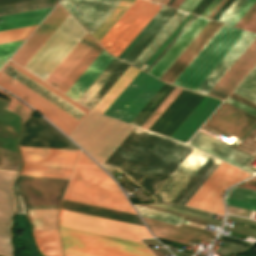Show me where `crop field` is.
I'll list each match as a JSON object with an SVG mask.
<instances>
[{
	"label": "crop field",
	"mask_w": 256,
	"mask_h": 256,
	"mask_svg": "<svg viewBox=\"0 0 256 256\" xmlns=\"http://www.w3.org/2000/svg\"><path fill=\"white\" fill-rule=\"evenodd\" d=\"M191 149L134 127L101 166L118 169L152 196Z\"/></svg>",
	"instance_id": "8a807250"
},
{
	"label": "crop field",
	"mask_w": 256,
	"mask_h": 256,
	"mask_svg": "<svg viewBox=\"0 0 256 256\" xmlns=\"http://www.w3.org/2000/svg\"><path fill=\"white\" fill-rule=\"evenodd\" d=\"M63 198L136 214L118 185L82 151Z\"/></svg>",
	"instance_id": "ac0d7876"
},
{
	"label": "crop field",
	"mask_w": 256,
	"mask_h": 256,
	"mask_svg": "<svg viewBox=\"0 0 256 256\" xmlns=\"http://www.w3.org/2000/svg\"><path fill=\"white\" fill-rule=\"evenodd\" d=\"M132 128L90 111L69 136L101 165Z\"/></svg>",
	"instance_id": "34b2d1b8"
},
{
	"label": "crop field",
	"mask_w": 256,
	"mask_h": 256,
	"mask_svg": "<svg viewBox=\"0 0 256 256\" xmlns=\"http://www.w3.org/2000/svg\"><path fill=\"white\" fill-rule=\"evenodd\" d=\"M6 105L7 102L0 100V147L17 152L16 145L21 134L20 118L4 109ZM2 170H0V252L12 256L9 224L13 198L10 184L17 173Z\"/></svg>",
	"instance_id": "412701ff"
},
{
	"label": "crop field",
	"mask_w": 256,
	"mask_h": 256,
	"mask_svg": "<svg viewBox=\"0 0 256 256\" xmlns=\"http://www.w3.org/2000/svg\"><path fill=\"white\" fill-rule=\"evenodd\" d=\"M59 229L140 246L145 245L139 239L152 237L142 226L62 209L59 214Z\"/></svg>",
	"instance_id": "f4fd0767"
},
{
	"label": "crop field",
	"mask_w": 256,
	"mask_h": 256,
	"mask_svg": "<svg viewBox=\"0 0 256 256\" xmlns=\"http://www.w3.org/2000/svg\"><path fill=\"white\" fill-rule=\"evenodd\" d=\"M244 32L224 24L173 84L195 90Z\"/></svg>",
	"instance_id": "dd49c442"
},
{
	"label": "crop field",
	"mask_w": 256,
	"mask_h": 256,
	"mask_svg": "<svg viewBox=\"0 0 256 256\" xmlns=\"http://www.w3.org/2000/svg\"><path fill=\"white\" fill-rule=\"evenodd\" d=\"M85 32L69 15L23 68L45 80Z\"/></svg>",
	"instance_id": "e52e79f7"
},
{
	"label": "crop field",
	"mask_w": 256,
	"mask_h": 256,
	"mask_svg": "<svg viewBox=\"0 0 256 256\" xmlns=\"http://www.w3.org/2000/svg\"><path fill=\"white\" fill-rule=\"evenodd\" d=\"M10 66L14 67L15 69H17L18 71H20L21 73L25 74L26 76H28L29 78H31L32 80L36 81L37 83H39L40 85H42L43 87L47 88L48 90H50L51 92H53L54 94H56L57 96L61 97L62 99H64L65 101H67L68 103L72 104L73 106H75L76 108H78L79 110L83 111L84 113H88L90 110L86 109L85 107H83L82 105L78 104L77 102H75L74 100L70 99L69 97H67L66 95L62 94L61 92L57 91L56 89H54L53 87L49 86L48 84H46L45 82L41 81L40 79L36 78L35 76H33L32 74L28 73L27 71H25L24 69L20 68L19 66H17L16 64L12 63L11 61H8V63ZM0 82L2 84H4L5 86H7L8 88L12 89L13 91H15L16 93H18L19 95L23 96L24 98H26L27 100H29L30 102L34 103L35 105H37L38 107H40L41 109H43L44 111L48 112L49 114H51L52 116H54L55 118L59 119L60 121H62L63 123H65L66 125L70 126L71 128H75L77 126V124L80 122L78 120H76L75 118H73L72 116H70L69 114L65 113L64 111H62L61 109L57 108L56 106H54L53 104H51L50 102L46 101L45 99H43L42 97L38 96L37 94H35L34 92L30 91L29 89H27L26 87H24L23 85L19 84L18 82H16L15 80L11 79L10 77H8L7 75L3 74L2 72H0ZM0 83V86L3 87L4 89L8 90L9 92H11L12 94L18 96L19 98H21L22 100H24L25 102H27L29 105H31L35 110H37L40 114H42L44 117H46L49 121H51L53 124H55L57 127H59L61 130H63L65 133H67L68 135L70 134V132L73 130L70 127L66 126L65 124H63L62 122H60L59 120L55 119L54 117H52L51 115H49L48 113L44 112L43 110H41L40 108H38L37 106L33 105L32 103H30L29 101H27L26 99H24L23 97L19 96L18 94H16L15 92H13L12 90L8 89L7 87H5L4 85H2ZM66 134V135H67ZM67 135V136H68Z\"/></svg>",
	"instance_id": "d8731c3e"
},
{
	"label": "crop field",
	"mask_w": 256,
	"mask_h": 256,
	"mask_svg": "<svg viewBox=\"0 0 256 256\" xmlns=\"http://www.w3.org/2000/svg\"><path fill=\"white\" fill-rule=\"evenodd\" d=\"M161 6L145 0H135L99 43L118 57Z\"/></svg>",
	"instance_id": "5a996713"
},
{
	"label": "crop field",
	"mask_w": 256,
	"mask_h": 256,
	"mask_svg": "<svg viewBox=\"0 0 256 256\" xmlns=\"http://www.w3.org/2000/svg\"><path fill=\"white\" fill-rule=\"evenodd\" d=\"M21 174L69 179L79 151L19 147Z\"/></svg>",
	"instance_id": "3316defc"
},
{
	"label": "crop field",
	"mask_w": 256,
	"mask_h": 256,
	"mask_svg": "<svg viewBox=\"0 0 256 256\" xmlns=\"http://www.w3.org/2000/svg\"><path fill=\"white\" fill-rule=\"evenodd\" d=\"M249 176L222 162L185 205L223 215L221 197L225 188Z\"/></svg>",
	"instance_id": "28ad6ade"
},
{
	"label": "crop field",
	"mask_w": 256,
	"mask_h": 256,
	"mask_svg": "<svg viewBox=\"0 0 256 256\" xmlns=\"http://www.w3.org/2000/svg\"><path fill=\"white\" fill-rule=\"evenodd\" d=\"M162 84L140 71L104 115L130 123Z\"/></svg>",
	"instance_id": "d1516ede"
},
{
	"label": "crop field",
	"mask_w": 256,
	"mask_h": 256,
	"mask_svg": "<svg viewBox=\"0 0 256 256\" xmlns=\"http://www.w3.org/2000/svg\"><path fill=\"white\" fill-rule=\"evenodd\" d=\"M208 157L209 155L193 148L152 196L153 203L170 202Z\"/></svg>",
	"instance_id": "22f410ed"
},
{
	"label": "crop field",
	"mask_w": 256,
	"mask_h": 256,
	"mask_svg": "<svg viewBox=\"0 0 256 256\" xmlns=\"http://www.w3.org/2000/svg\"><path fill=\"white\" fill-rule=\"evenodd\" d=\"M19 146L80 150L45 120L34 116L24 123Z\"/></svg>",
	"instance_id": "cbeb9de0"
},
{
	"label": "crop field",
	"mask_w": 256,
	"mask_h": 256,
	"mask_svg": "<svg viewBox=\"0 0 256 256\" xmlns=\"http://www.w3.org/2000/svg\"><path fill=\"white\" fill-rule=\"evenodd\" d=\"M204 95L183 89L149 130L169 137Z\"/></svg>",
	"instance_id": "5142ce71"
},
{
	"label": "crop field",
	"mask_w": 256,
	"mask_h": 256,
	"mask_svg": "<svg viewBox=\"0 0 256 256\" xmlns=\"http://www.w3.org/2000/svg\"><path fill=\"white\" fill-rule=\"evenodd\" d=\"M120 1L62 0L61 4L92 34Z\"/></svg>",
	"instance_id": "d9b57169"
},
{
	"label": "crop field",
	"mask_w": 256,
	"mask_h": 256,
	"mask_svg": "<svg viewBox=\"0 0 256 256\" xmlns=\"http://www.w3.org/2000/svg\"><path fill=\"white\" fill-rule=\"evenodd\" d=\"M255 123L256 117L224 103L206 127L241 139Z\"/></svg>",
	"instance_id": "733c2abd"
},
{
	"label": "crop field",
	"mask_w": 256,
	"mask_h": 256,
	"mask_svg": "<svg viewBox=\"0 0 256 256\" xmlns=\"http://www.w3.org/2000/svg\"><path fill=\"white\" fill-rule=\"evenodd\" d=\"M68 15L69 14L60 5H58L39 26V28L31 35V37L23 44V46L15 53L11 60L23 67Z\"/></svg>",
	"instance_id": "4a817a6b"
},
{
	"label": "crop field",
	"mask_w": 256,
	"mask_h": 256,
	"mask_svg": "<svg viewBox=\"0 0 256 256\" xmlns=\"http://www.w3.org/2000/svg\"><path fill=\"white\" fill-rule=\"evenodd\" d=\"M255 63L256 39L210 90L208 95L224 99Z\"/></svg>",
	"instance_id": "bc2a9ffb"
},
{
	"label": "crop field",
	"mask_w": 256,
	"mask_h": 256,
	"mask_svg": "<svg viewBox=\"0 0 256 256\" xmlns=\"http://www.w3.org/2000/svg\"><path fill=\"white\" fill-rule=\"evenodd\" d=\"M153 234L181 243H187L192 239L211 240L214 232L180 223L179 226L142 217Z\"/></svg>",
	"instance_id": "214f88e0"
},
{
	"label": "crop field",
	"mask_w": 256,
	"mask_h": 256,
	"mask_svg": "<svg viewBox=\"0 0 256 256\" xmlns=\"http://www.w3.org/2000/svg\"><path fill=\"white\" fill-rule=\"evenodd\" d=\"M221 25V23L210 20L208 24L201 30V32L195 37V39L182 52V54L169 67V69L162 75L160 80L172 83Z\"/></svg>",
	"instance_id": "92a150f3"
},
{
	"label": "crop field",
	"mask_w": 256,
	"mask_h": 256,
	"mask_svg": "<svg viewBox=\"0 0 256 256\" xmlns=\"http://www.w3.org/2000/svg\"><path fill=\"white\" fill-rule=\"evenodd\" d=\"M208 21L197 16L148 74L159 79Z\"/></svg>",
	"instance_id": "dafd665d"
},
{
	"label": "crop field",
	"mask_w": 256,
	"mask_h": 256,
	"mask_svg": "<svg viewBox=\"0 0 256 256\" xmlns=\"http://www.w3.org/2000/svg\"><path fill=\"white\" fill-rule=\"evenodd\" d=\"M222 101L205 96L170 138L187 142Z\"/></svg>",
	"instance_id": "00972430"
},
{
	"label": "crop field",
	"mask_w": 256,
	"mask_h": 256,
	"mask_svg": "<svg viewBox=\"0 0 256 256\" xmlns=\"http://www.w3.org/2000/svg\"><path fill=\"white\" fill-rule=\"evenodd\" d=\"M190 142H192V143H194V144H196L198 146H202V147H204V148H206V149H208V150H210L212 152H215V153H217V154H219V155H221V156H223V157H225L227 159H230V160H232V161H234V162H236V163H238L240 165H243V166H245V167H247V168H249V169H251V170L256 172V169L245 165L252 158V156H250V155H248L246 153H243V152H241V151H239L237 149H234V148H232V147H230L228 145H225V144H223V143H221V142H219L217 140H214V139H212V138H210L208 136H205V135H203V134H201L199 132H197L194 135V137L190 140ZM190 142H188V143H190ZM192 143H190V144H192ZM194 144H192V145H194ZM196 145H194V146H196ZM198 146H196V147H198ZM202 147H198V148H200L202 150H205V151H207V152H209V153H211V154H213V155H215V156H217L219 158H222V159H224V160H226V161H228V162H230V163H232L234 165H237V166H239V167H241V168H243V169H245V170H247V171H249L251 173H255V172H253V171H251V170H249V169H247L245 167H242V166H240V165H238V164H236V163H234V162H232L230 160H227V159H225V158H223V157H221V156H219L217 154H214V153H212V152H210V151H208V150H206V149H204Z\"/></svg>",
	"instance_id": "a9b5d70f"
},
{
	"label": "crop field",
	"mask_w": 256,
	"mask_h": 256,
	"mask_svg": "<svg viewBox=\"0 0 256 256\" xmlns=\"http://www.w3.org/2000/svg\"><path fill=\"white\" fill-rule=\"evenodd\" d=\"M256 34L246 32L236 45L228 52L214 70L199 85L196 91L207 94L248 45L255 39Z\"/></svg>",
	"instance_id": "4177f3b9"
},
{
	"label": "crop field",
	"mask_w": 256,
	"mask_h": 256,
	"mask_svg": "<svg viewBox=\"0 0 256 256\" xmlns=\"http://www.w3.org/2000/svg\"><path fill=\"white\" fill-rule=\"evenodd\" d=\"M95 42L86 32L45 81L56 88Z\"/></svg>",
	"instance_id": "730fd06b"
},
{
	"label": "crop field",
	"mask_w": 256,
	"mask_h": 256,
	"mask_svg": "<svg viewBox=\"0 0 256 256\" xmlns=\"http://www.w3.org/2000/svg\"><path fill=\"white\" fill-rule=\"evenodd\" d=\"M113 58L103 49L65 94L77 101Z\"/></svg>",
	"instance_id": "eef30255"
},
{
	"label": "crop field",
	"mask_w": 256,
	"mask_h": 256,
	"mask_svg": "<svg viewBox=\"0 0 256 256\" xmlns=\"http://www.w3.org/2000/svg\"><path fill=\"white\" fill-rule=\"evenodd\" d=\"M59 232H60L61 238L63 239L77 241L81 243H86L90 245L109 248V249L127 252L131 254L141 255V256H153L152 253L148 250V248H145V247L105 240L101 238H96V237H91V236H86V235L61 231V230H59Z\"/></svg>",
	"instance_id": "ae1a2a85"
},
{
	"label": "crop field",
	"mask_w": 256,
	"mask_h": 256,
	"mask_svg": "<svg viewBox=\"0 0 256 256\" xmlns=\"http://www.w3.org/2000/svg\"><path fill=\"white\" fill-rule=\"evenodd\" d=\"M176 11L177 9L167 7L122 60L131 64L133 60L140 54V52L147 46V44L154 38V36L161 30V28L168 22V20L175 14Z\"/></svg>",
	"instance_id": "d3111659"
},
{
	"label": "crop field",
	"mask_w": 256,
	"mask_h": 256,
	"mask_svg": "<svg viewBox=\"0 0 256 256\" xmlns=\"http://www.w3.org/2000/svg\"><path fill=\"white\" fill-rule=\"evenodd\" d=\"M52 8L0 17V31L39 24Z\"/></svg>",
	"instance_id": "750c4746"
},
{
	"label": "crop field",
	"mask_w": 256,
	"mask_h": 256,
	"mask_svg": "<svg viewBox=\"0 0 256 256\" xmlns=\"http://www.w3.org/2000/svg\"><path fill=\"white\" fill-rule=\"evenodd\" d=\"M186 14L187 12L178 10L162 30L155 36V38L148 44V46L141 52V54L134 60L132 65L140 68Z\"/></svg>",
	"instance_id": "bd1437ed"
},
{
	"label": "crop field",
	"mask_w": 256,
	"mask_h": 256,
	"mask_svg": "<svg viewBox=\"0 0 256 256\" xmlns=\"http://www.w3.org/2000/svg\"><path fill=\"white\" fill-rule=\"evenodd\" d=\"M62 240L64 256H136L86 244Z\"/></svg>",
	"instance_id": "1d83c4d3"
},
{
	"label": "crop field",
	"mask_w": 256,
	"mask_h": 256,
	"mask_svg": "<svg viewBox=\"0 0 256 256\" xmlns=\"http://www.w3.org/2000/svg\"><path fill=\"white\" fill-rule=\"evenodd\" d=\"M138 72L139 70L130 66L119 78V80L111 87V89L103 96V98L95 105L92 111L103 114Z\"/></svg>",
	"instance_id": "120bbe31"
},
{
	"label": "crop field",
	"mask_w": 256,
	"mask_h": 256,
	"mask_svg": "<svg viewBox=\"0 0 256 256\" xmlns=\"http://www.w3.org/2000/svg\"><path fill=\"white\" fill-rule=\"evenodd\" d=\"M32 233L42 256H62V247L57 230Z\"/></svg>",
	"instance_id": "d32e631a"
},
{
	"label": "crop field",
	"mask_w": 256,
	"mask_h": 256,
	"mask_svg": "<svg viewBox=\"0 0 256 256\" xmlns=\"http://www.w3.org/2000/svg\"><path fill=\"white\" fill-rule=\"evenodd\" d=\"M32 231L57 229L58 209L27 210Z\"/></svg>",
	"instance_id": "5866460e"
},
{
	"label": "crop field",
	"mask_w": 256,
	"mask_h": 256,
	"mask_svg": "<svg viewBox=\"0 0 256 256\" xmlns=\"http://www.w3.org/2000/svg\"><path fill=\"white\" fill-rule=\"evenodd\" d=\"M102 49L103 48L96 42L56 89L65 93Z\"/></svg>",
	"instance_id": "028f5c9d"
},
{
	"label": "crop field",
	"mask_w": 256,
	"mask_h": 256,
	"mask_svg": "<svg viewBox=\"0 0 256 256\" xmlns=\"http://www.w3.org/2000/svg\"><path fill=\"white\" fill-rule=\"evenodd\" d=\"M174 88L175 86L164 83L145 107L139 112V114L133 119L131 124L141 127Z\"/></svg>",
	"instance_id": "e1f06a70"
},
{
	"label": "crop field",
	"mask_w": 256,
	"mask_h": 256,
	"mask_svg": "<svg viewBox=\"0 0 256 256\" xmlns=\"http://www.w3.org/2000/svg\"><path fill=\"white\" fill-rule=\"evenodd\" d=\"M122 64L123 62L114 58L77 102L86 106Z\"/></svg>",
	"instance_id": "0bd39190"
},
{
	"label": "crop field",
	"mask_w": 256,
	"mask_h": 256,
	"mask_svg": "<svg viewBox=\"0 0 256 256\" xmlns=\"http://www.w3.org/2000/svg\"><path fill=\"white\" fill-rule=\"evenodd\" d=\"M134 2V0H122L117 7L110 13V15L103 21V23L92 34L99 42L101 38L108 32L114 23L121 17L127 8Z\"/></svg>",
	"instance_id": "b80d0937"
},
{
	"label": "crop field",
	"mask_w": 256,
	"mask_h": 256,
	"mask_svg": "<svg viewBox=\"0 0 256 256\" xmlns=\"http://www.w3.org/2000/svg\"><path fill=\"white\" fill-rule=\"evenodd\" d=\"M234 92L256 102V66L237 86Z\"/></svg>",
	"instance_id": "c035e120"
},
{
	"label": "crop field",
	"mask_w": 256,
	"mask_h": 256,
	"mask_svg": "<svg viewBox=\"0 0 256 256\" xmlns=\"http://www.w3.org/2000/svg\"><path fill=\"white\" fill-rule=\"evenodd\" d=\"M134 206L137 209V211L140 213V215H142V216L158 219L161 221H165V222H169V223H173V224H177V225H179V223L183 219V217L160 212V211L149 209L146 207H142V206H138V205H134Z\"/></svg>",
	"instance_id": "c21b1889"
},
{
	"label": "crop field",
	"mask_w": 256,
	"mask_h": 256,
	"mask_svg": "<svg viewBox=\"0 0 256 256\" xmlns=\"http://www.w3.org/2000/svg\"><path fill=\"white\" fill-rule=\"evenodd\" d=\"M36 26L2 31L0 32V43L26 39Z\"/></svg>",
	"instance_id": "03da06ac"
},
{
	"label": "crop field",
	"mask_w": 256,
	"mask_h": 256,
	"mask_svg": "<svg viewBox=\"0 0 256 256\" xmlns=\"http://www.w3.org/2000/svg\"><path fill=\"white\" fill-rule=\"evenodd\" d=\"M215 160L216 158L210 156L208 160L203 164V166L197 171V173L190 179V181L182 188V190L174 197L171 202L178 203Z\"/></svg>",
	"instance_id": "b54c1fbb"
},
{
	"label": "crop field",
	"mask_w": 256,
	"mask_h": 256,
	"mask_svg": "<svg viewBox=\"0 0 256 256\" xmlns=\"http://www.w3.org/2000/svg\"><path fill=\"white\" fill-rule=\"evenodd\" d=\"M225 197L256 204V191L237 186L227 191Z\"/></svg>",
	"instance_id": "5d738f31"
},
{
	"label": "crop field",
	"mask_w": 256,
	"mask_h": 256,
	"mask_svg": "<svg viewBox=\"0 0 256 256\" xmlns=\"http://www.w3.org/2000/svg\"><path fill=\"white\" fill-rule=\"evenodd\" d=\"M129 67L127 64H123L121 68L113 75V77L106 83V85L98 92V94L90 101L86 106L90 110L94 105L102 98V96L110 89V87L118 80V78L125 72Z\"/></svg>",
	"instance_id": "d23c7cc5"
},
{
	"label": "crop field",
	"mask_w": 256,
	"mask_h": 256,
	"mask_svg": "<svg viewBox=\"0 0 256 256\" xmlns=\"http://www.w3.org/2000/svg\"><path fill=\"white\" fill-rule=\"evenodd\" d=\"M0 93L4 94L5 96L11 98V102L9 104V106L6 108L18 115L21 116L22 118V123L29 118L32 110H30L28 107H26L24 104H22L20 101H18L16 98L10 96L9 94L3 92L0 90ZM32 115V114H31Z\"/></svg>",
	"instance_id": "425ffa30"
},
{
	"label": "crop field",
	"mask_w": 256,
	"mask_h": 256,
	"mask_svg": "<svg viewBox=\"0 0 256 256\" xmlns=\"http://www.w3.org/2000/svg\"><path fill=\"white\" fill-rule=\"evenodd\" d=\"M236 27L256 32V3L245 14V16L238 22Z\"/></svg>",
	"instance_id": "25e5ab78"
},
{
	"label": "crop field",
	"mask_w": 256,
	"mask_h": 256,
	"mask_svg": "<svg viewBox=\"0 0 256 256\" xmlns=\"http://www.w3.org/2000/svg\"><path fill=\"white\" fill-rule=\"evenodd\" d=\"M222 161L216 160L214 164L206 171V173L198 180V182L190 189V191L182 198L179 204L184 205L187 200L195 193L202 183L210 176V174L218 167Z\"/></svg>",
	"instance_id": "73cf0c24"
},
{
	"label": "crop field",
	"mask_w": 256,
	"mask_h": 256,
	"mask_svg": "<svg viewBox=\"0 0 256 256\" xmlns=\"http://www.w3.org/2000/svg\"><path fill=\"white\" fill-rule=\"evenodd\" d=\"M23 41L0 44V67L7 61Z\"/></svg>",
	"instance_id": "89e229c0"
},
{
	"label": "crop field",
	"mask_w": 256,
	"mask_h": 256,
	"mask_svg": "<svg viewBox=\"0 0 256 256\" xmlns=\"http://www.w3.org/2000/svg\"><path fill=\"white\" fill-rule=\"evenodd\" d=\"M245 1L246 0H235L218 21L226 23Z\"/></svg>",
	"instance_id": "1f2cbd36"
},
{
	"label": "crop field",
	"mask_w": 256,
	"mask_h": 256,
	"mask_svg": "<svg viewBox=\"0 0 256 256\" xmlns=\"http://www.w3.org/2000/svg\"><path fill=\"white\" fill-rule=\"evenodd\" d=\"M256 0H247L245 4L238 10V12L231 18L228 24L235 26L243 15L249 10Z\"/></svg>",
	"instance_id": "dbb93151"
},
{
	"label": "crop field",
	"mask_w": 256,
	"mask_h": 256,
	"mask_svg": "<svg viewBox=\"0 0 256 256\" xmlns=\"http://www.w3.org/2000/svg\"><path fill=\"white\" fill-rule=\"evenodd\" d=\"M166 7L163 6L158 13L151 19V21L144 27V29L136 36V38L129 44V46L122 52L119 58H123L124 55L131 49V47L137 42V40L144 34V32L151 26V24L157 19V17L164 11Z\"/></svg>",
	"instance_id": "0fb4a251"
},
{
	"label": "crop field",
	"mask_w": 256,
	"mask_h": 256,
	"mask_svg": "<svg viewBox=\"0 0 256 256\" xmlns=\"http://www.w3.org/2000/svg\"><path fill=\"white\" fill-rule=\"evenodd\" d=\"M22 177V175H19V177L16 179L15 183H14V190H15V194H16V215H22V214H27L26 210L24 208L23 202L21 200V197L18 196V189H17V183L19 181V179Z\"/></svg>",
	"instance_id": "1d79db26"
},
{
	"label": "crop field",
	"mask_w": 256,
	"mask_h": 256,
	"mask_svg": "<svg viewBox=\"0 0 256 256\" xmlns=\"http://www.w3.org/2000/svg\"><path fill=\"white\" fill-rule=\"evenodd\" d=\"M196 15H194L191 20L184 26V28L177 34V36L170 42V44L163 50V52L156 58V60L149 66L145 72H149L150 69L156 64V62L163 56V54L169 49V47L175 42V40L181 35V33L188 27V25L194 20Z\"/></svg>",
	"instance_id": "9d1cf04e"
},
{
	"label": "crop field",
	"mask_w": 256,
	"mask_h": 256,
	"mask_svg": "<svg viewBox=\"0 0 256 256\" xmlns=\"http://www.w3.org/2000/svg\"><path fill=\"white\" fill-rule=\"evenodd\" d=\"M226 204L256 211V205L225 198Z\"/></svg>",
	"instance_id": "447ae74e"
},
{
	"label": "crop field",
	"mask_w": 256,
	"mask_h": 256,
	"mask_svg": "<svg viewBox=\"0 0 256 256\" xmlns=\"http://www.w3.org/2000/svg\"><path fill=\"white\" fill-rule=\"evenodd\" d=\"M229 98H231V99H233V100H235L237 102H240V103H242V104H244V105H246V106L256 110V103L255 102H253V101H251L249 99H246V98H244V97H242V96H240V95H238V94H236L234 92L231 93Z\"/></svg>",
	"instance_id": "0765c3eb"
},
{
	"label": "crop field",
	"mask_w": 256,
	"mask_h": 256,
	"mask_svg": "<svg viewBox=\"0 0 256 256\" xmlns=\"http://www.w3.org/2000/svg\"><path fill=\"white\" fill-rule=\"evenodd\" d=\"M154 206H158V207L166 208V209H169V210H173V211H177V212L185 213V214H188V215H192V216L200 217V218H203V219H207V220H211V221H215V222H219V223L221 222V221L216 220V219H213V218H209V217L201 216V215H198V214L190 213V212H187V211H183V210H180V209L172 208V207L165 206V205H161V204H154Z\"/></svg>",
	"instance_id": "db79e9e6"
},
{
	"label": "crop field",
	"mask_w": 256,
	"mask_h": 256,
	"mask_svg": "<svg viewBox=\"0 0 256 256\" xmlns=\"http://www.w3.org/2000/svg\"><path fill=\"white\" fill-rule=\"evenodd\" d=\"M201 0H184L178 9L191 12Z\"/></svg>",
	"instance_id": "7b73153f"
},
{
	"label": "crop field",
	"mask_w": 256,
	"mask_h": 256,
	"mask_svg": "<svg viewBox=\"0 0 256 256\" xmlns=\"http://www.w3.org/2000/svg\"><path fill=\"white\" fill-rule=\"evenodd\" d=\"M218 239H221V240H224V241H227V242H230V243H234V244H237V245H240V246H244V247H247V248H249L253 245L252 243H248V242L228 238V237L221 236V235H219Z\"/></svg>",
	"instance_id": "78b8030e"
},
{
	"label": "crop field",
	"mask_w": 256,
	"mask_h": 256,
	"mask_svg": "<svg viewBox=\"0 0 256 256\" xmlns=\"http://www.w3.org/2000/svg\"><path fill=\"white\" fill-rule=\"evenodd\" d=\"M212 0H202L192 11V13L200 15L203 10L210 4ZM206 10V9H205Z\"/></svg>",
	"instance_id": "0f1d7ab4"
},
{
	"label": "crop field",
	"mask_w": 256,
	"mask_h": 256,
	"mask_svg": "<svg viewBox=\"0 0 256 256\" xmlns=\"http://www.w3.org/2000/svg\"><path fill=\"white\" fill-rule=\"evenodd\" d=\"M165 205H169V206H172V207L184 209V210H187V211L195 212V213L210 216V217L213 215L211 213H207V212H204V211H200V210H196V209H192V208H188V207H184V206H180V205H176V204H165Z\"/></svg>",
	"instance_id": "e1d0b9f6"
},
{
	"label": "crop field",
	"mask_w": 256,
	"mask_h": 256,
	"mask_svg": "<svg viewBox=\"0 0 256 256\" xmlns=\"http://www.w3.org/2000/svg\"><path fill=\"white\" fill-rule=\"evenodd\" d=\"M234 0H227L226 3L220 8V10L214 15V17L212 18V20L217 21L219 19V17L224 13V11L230 6V4L233 2Z\"/></svg>",
	"instance_id": "ae633e8c"
},
{
	"label": "crop field",
	"mask_w": 256,
	"mask_h": 256,
	"mask_svg": "<svg viewBox=\"0 0 256 256\" xmlns=\"http://www.w3.org/2000/svg\"><path fill=\"white\" fill-rule=\"evenodd\" d=\"M226 102H228V103H230V104H232V105H234L236 107H239V108H241V109H243V110H245V111H247L249 113H252V114L256 115V111L255 110L250 109V108H248V107H246V106H244V105H242L240 103H237V102H235V101H233V100H231L229 98L226 99Z\"/></svg>",
	"instance_id": "d14b1444"
},
{
	"label": "crop field",
	"mask_w": 256,
	"mask_h": 256,
	"mask_svg": "<svg viewBox=\"0 0 256 256\" xmlns=\"http://www.w3.org/2000/svg\"><path fill=\"white\" fill-rule=\"evenodd\" d=\"M221 0H214L207 8L206 10L201 14V16L207 17L210 12L219 4Z\"/></svg>",
	"instance_id": "c39391a2"
},
{
	"label": "crop field",
	"mask_w": 256,
	"mask_h": 256,
	"mask_svg": "<svg viewBox=\"0 0 256 256\" xmlns=\"http://www.w3.org/2000/svg\"><path fill=\"white\" fill-rule=\"evenodd\" d=\"M22 1H28V0H0V5L22 2Z\"/></svg>",
	"instance_id": "ade564c9"
},
{
	"label": "crop field",
	"mask_w": 256,
	"mask_h": 256,
	"mask_svg": "<svg viewBox=\"0 0 256 256\" xmlns=\"http://www.w3.org/2000/svg\"><path fill=\"white\" fill-rule=\"evenodd\" d=\"M226 0H222L221 3L212 11V13L208 16V18H212L213 15L219 10V8L225 3Z\"/></svg>",
	"instance_id": "c5b07064"
},
{
	"label": "crop field",
	"mask_w": 256,
	"mask_h": 256,
	"mask_svg": "<svg viewBox=\"0 0 256 256\" xmlns=\"http://www.w3.org/2000/svg\"><path fill=\"white\" fill-rule=\"evenodd\" d=\"M182 1L183 0H174L173 3L170 6L177 8Z\"/></svg>",
	"instance_id": "c3a83c6f"
},
{
	"label": "crop field",
	"mask_w": 256,
	"mask_h": 256,
	"mask_svg": "<svg viewBox=\"0 0 256 256\" xmlns=\"http://www.w3.org/2000/svg\"><path fill=\"white\" fill-rule=\"evenodd\" d=\"M244 183H248V184H252V185H256V179L255 178H251L247 181H245Z\"/></svg>",
	"instance_id": "fb207236"
},
{
	"label": "crop field",
	"mask_w": 256,
	"mask_h": 256,
	"mask_svg": "<svg viewBox=\"0 0 256 256\" xmlns=\"http://www.w3.org/2000/svg\"><path fill=\"white\" fill-rule=\"evenodd\" d=\"M162 1V0H161ZM168 2V0H163L161 4L165 5Z\"/></svg>",
	"instance_id": "7312dd0a"
},
{
	"label": "crop field",
	"mask_w": 256,
	"mask_h": 256,
	"mask_svg": "<svg viewBox=\"0 0 256 256\" xmlns=\"http://www.w3.org/2000/svg\"><path fill=\"white\" fill-rule=\"evenodd\" d=\"M173 0H169V2L166 4L167 6H169L172 3Z\"/></svg>",
	"instance_id": "180be81f"
},
{
	"label": "crop field",
	"mask_w": 256,
	"mask_h": 256,
	"mask_svg": "<svg viewBox=\"0 0 256 256\" xmlns=\"http://www.w3.org/2000/svg\"><path fill=\"white\" fill-rule=\"evenodd\" d=\"M152 1H155V2H158V3H160V2H161V0H152Z\"/></svg>",
	"instance_id": "f0312440"
},
{
	"label": "crop field",
	"mask_w": 256,
	"mask_h": 256,
	"mask_svg": "<svg viewBox=\"0 0 256 256\" xmlns=\"http://www.w3.org/2000/svg\"><path fill=\"white\" fill-rule=\"evenodd\" d=\"M256 178V177H255Z\"/></svg>",
	"instance_id": "1f1604b0"
}]
</instances>
